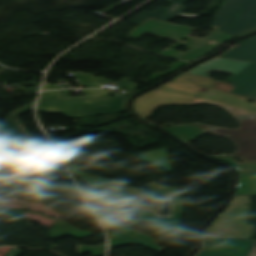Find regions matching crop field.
I'll use <instances>...</instances> for the list:
<instances>
[{
  "instance_id": "crop-field-1",
  "label": "crop field",
  "mask_w": 256,
  "mask_h": 256,
  "mask_svg": "<svg viewBox=\"0 0 256 256\" xmlns=\"http://www.w3.org/2000/svg\"><path fill=\"white\" fill-rule=\"evenodd\" d=\"M86 97L108 96L109 98L79 99L39 102L37 112L62 113L68 118L125 111L129 96L110 97L107 90H82Z\"/></svg>"
},
{
  "instance_id": "crop-field-2",
  "label": "crop field",
  "mask_w": 256,
  "mask_h": 256,
  "mask_svg": "<svg viewBox=\"0 0 256 256\" xmlns=\"http://www.w3.org/2000/svg\"><path fill=\"white\" fill-rule=\"evenodd\" d=\"M251 207L250 197H234L228 209L205 232L204 238L251 239L254 226L247 225Z\"/></svg>"
},
{
  "instance_id": "crop-field-3",
  "label": "crop field",
  "mask_w": 256,
  "mask_h": 256,
  "mask_svg": "<svg viewBox=\"0 0 256 256\" xmlns=\"http://www.w3.org/2000/svg\"><path fill=\"white\" fill-rule=\"evenodd\" d=\"M212 29L236 36L256 30V0H225Z\"/></svg>"
},
{
  "instance_id": "crop-field-4",
  "label": "crop field",
  "mask_w": 256,
  "mask_h": 256,
  "mask_svg": "<svg viewBox=\"0 0 256 256\" xmlns=\"http://www.w3.org/2000/svg\"><path fill=\"white\" fill-rule=\"evenodd\" d=\"M34 103L35 102H32L22 108H19L11 112V115L7 117L5 123L2 126H0V130L22 128L18 121V116L33 109ZM25 140H32V138L24 129L18 131L0 132V143L22 142Z\"/></svg>"
},
{
  "instance_id": "crop-field-5",
  "label": "crop field",
  "mask_w": 256,
  "mask_h": 256,
  "mask_svg": "<svg viewBox=\"0 0 256 256\" xmlns=\"http://www.w3.org/2000/svg\"><path fill=\"white\" fill-rule=\"evenodd\" d=\"M187 1L188 0H178V1L168 0L167 2L172 3L170 6H168V8L159 7L154 12L144 11L141 15L132 19L131 22L139 25L142 21H144L148 17L168 21L173 19L176 16H184V17H190V18H195L199 16L196 14L183 13V11L186 9L183 6L187 3Z\"/></svg>"
},
{
  "instance_id": "crop-field-6",
  "label": "crop field",
  "mask_w": 256,
  "mask_h": 256,
  "mask_svg": "<svg viewBox=\"0 0 256 256\" xmlns=\"http://www.w3.org/2000/svg\"><path fill=\"white\" fill-rule=\"evenodd\" d=\"M223 57L256 62V37L244 42L238 49L225 53Z\"/></svg>"
},
{
  "instance_id": "crop-field-7",
  "label": "crop field",
  "mask_w": 256,
  "mask_h": 256,
  "mask_svg": "<svg viewBox=\"0 0 256 256\" xmlns=\"http://www.w3.org/2000/svg\"><path fill=\"white\" fill-rule=\"evenodd\" d=\"M74 74L82 84L83 88H101L99 84L112 82L104 77L95 78L92 74L88 73L74 72Z\"/></svg>"
},
{
  "instance_id": "crop-field-8",
  "label": "crop field",
  "mask_w": 256,
  "mask_h": 256,
  "mask_svg": "<svg viewBox=\"0 0 256 256\" xmlns=\"http://www.w3.org/2000/svg\"><path fill=\"white\" fill-rule=\"evenodd\" d=\"M61 99L60 91L42 93L40 101Z\"/></svg>"
},
{
  "instance_id": "crop-field-9",
  "label": "crop field",
  "mask_w": 256,
  "mask_h": 256,
  "mask_svg": "<svg viewBox=\"0 0 256 256\" xmlns=\"http://www.w3.org/2000/svg\"><path fill=\"white\" fill-rule=\"evenodd\" d=\"M186 64H188V63L187 62H183V61H178V62H176V64L174 65V67L172 69H170V70H168V71H166L164 73H156V74L152 75L151 77L157 78V77H159L161 75L169 74V73H171V72H173V71H175V70L185 66Z\"/></svg>"
},
{
  "instance_id": "crop-field-10",
  "label": "crop field",
  "mask_w": 256,
  "mask_h": 256,
  "mask_svg": "<svg viewBox=\"0 0 256 256\" xmlns=\"http://www.w3.org/2000/svg\"><path fill=\"white\" fill-rule=\"evenodd\" d=\"M48 89H56L55 86L53 84H49V83H44V87L43 90H48Z\"/></svg>"
},
{
  "instance_id": "crop-field-11",
  "label": "crop field",
  "mask_w": 256,
  "mask_h": 256,
  "mask_svg": "<svg viewBox=\"0 0 256 256\" xmlns=\"http://www.w3.org/2000/svg\"><path fill=\"white\" fill-rule=\"evenodd\" d=\"M248 256H256V245H255V247L252 249V251L249 253Z\"/></svg>"
}]
</instances>
